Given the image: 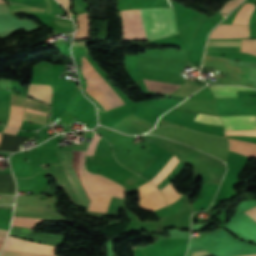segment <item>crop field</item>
I'll return each instance as SVG.
<instances>
[{"instance_id": "obj_1", "label": "crop field", "mask_w": 256, "mask_h": 256, "mask_svg": "<svg viewBox=\"0 0 256 256\" xmlns=\"http://www.w3.org/2000/svg\"><path fill=\"white\" fill-rule=\"evenodd\" d=\"M79 203L88 210L106 212L110 195H92L83 175L86 150L54 148Z\"/></svg>"}, {"instance_id": "obj_2", "label": "crop field", "mask_w": 256, "mask_h": 256, "mask_svg": "<svg viewBox=\"0 0 256 256\" xmlns=\"http://www.w3.org/2000/svg\"><path fill=\"white\" fill-rule=\"evenodd\" d=\"M146 39L168 36L164 8L139 10ZM138 10L122 11L124 38L145 39Z\"/></svg>"}, {"instance_id": "obj_3", "label": "crop field", "mask_w": 256, "mask_h": 256, "mask_svg": "<svg viewBox=\"0 0 256 256\" xmlns=\"http://www.w3.org/2000/svg\"><path fill=\"white\" fill-rule=\"evenodd\" d=\"M82 74L86 79V90L106 109L118 107L123 101L110 86L97 74L90 63L83 57Z\"/></svg>"}, {"instance_id": "obj_4", "label": "crop field", "mask_w": 256, "mask_h": 256, "mask_svg": "<svg viewBox=\"0 0 256 256\" xmlns=\"http://www.w3.org/2000/svg\"><path fill=\"white\" fill-rule=\"evenodd\" d=\"M85 178L92 191L95 193H106L117 196L119 198L124 197V188L120 184L100 175L90 174L85 168Z\"/></svg>"}, {"instance_id": "obj_5", "label": "crop field", "mask_w": 256, "mask_h": 256, "mask_svg": "<svg viewBox=\"0 0 256 256\" xmlns=\"http://www.w3.org/2000/svg\"><path fill=\"white\" fill-rule=\"evenodd\" d=\"M246 44L245 52L256 55V40H243ZM245 45H243L244 52ZM242 40L238 41H208L207 51H241Z\"/></svg>"}, {"instance_id": "obj_6", "label": "crop field", "mask_w": 256, "mask_h": 256, "mask_svg": "<svg viewBox=\"0 0 256 256\" xmlns=\"http://www.w3.org/2000/svg\"><path fill=\"white\" fill-rule=\"evenodd\" d=\"M25 108L30 109V110H35V111L46 112V113H48V111H49V106H47L43 103L34 101L29 98H27V100H26ZM26 109H24V111H26V112H30V113H34V114H38V115H42V116H46V117L48 115L46 113L35 112V111L26 110ZM23 120L44 125L46 118L24 112Z\"/></svg>"}, {"instance_id": "obj_7", "label": "crop field", "mask_w": 256, "mask_h": 256, "mask_svg": "<svg viewBox=\"0 0 256 256\" xmlns=\"http://www.w3.org/2000/svg\"><path fill=\"white\" fill-rule=\"evenodd\" d=\"M225 130L256 129V116L220 117Z\"/></svg>"}, {"instance_id": "obj_8", "label": "crop field", "mask_w": 256, "mask_h": 256, "mask_svg": "<svg viewBox=\"0 0 256 256\" xmlns=\"http://www.w3.org/2000/svg\"><path fill=\"white\" fill-rule=\"evenodd\" d=\"M212 33H248V26L219 25ZM248 34H211L210 38H244Z\"/></svg>"}, {"instance_id": "obj_9", "label": "crop field", "mask_w": 256, "mask_h": 256, "mask_svg": "<svg viewBox=\"0 0 256 256\" xmlns=\"http://www.w3.org/2000/svg\"><path fill=\"white\" fill-rule=\"evenodd\" d=\"M28 96L50 104L52 99L50 85L31 84Z\"/></svg>"}, {"instance_id": "obj_10", "label": "crop field", "mask_w": 256, "mask_h": 256, "mask_svg": "<svg viewBox=\"0 0 256 256\" xmlns=\"http://www.w3.org/2000/svg\"><path fill=\"white\" fill-rule=\"evenodd\" d=\"M230 143V150L239 152L243 155L250 156L256 158V144L238 141V140H231L228 139Z\"/></svg>"}, {"instance_id": "obj_11", "label": "crop field", "mask_w": 256, "mask_h": 256, "mask_svg": "<svg viewBox=\"0 0 256 256\" xmlns=\"http://www.w3.org/2000/svg\"><path fill=\"white\" fill-rule=\"evenodd\" d=\"M0 193L15 194V183L10 169H0Z\"/></svg>"}, {"instance_id": "obj_12", "label": "crop field", "mask_w": 256, "mask_h": 256, "mask_svg": "<svg viewBox=\"0 0 256 256\" xmlns=\"http://www.w3.org/2000/svg\"><path fill=\"white\" fill-rule=\"evenodd\" d=\"M11 164L15 177H31L29 165L24 158L14 156L11 158Z\"/></svg>"}, {"instance_id": "obj_13", "label": "crop field", "mask_w": 256, "mask_h": 256, "mask_svg": "<svg viewBox=\"0 0 256 256\" xmlns=\"http://www.w3.org/2000/svg\"><path fill=\"white\" fill-rule=\"evenodd\" d=\"M210 89L213 91L215 98L237 97L236 90H252L244 87H232V86H210Z\"/></svg>"}, {"instance_id": "obj_14", "label": "crop field", "mask_w": 256, "mask_h": 256, "mask_svg": "<svg viewBox=\"0 0 256 256\" xmlns=\"http://www.w3.org/2000/svg\"><path fill=\"white\" fill-rule=\"evenodd\" d=\"M78 22L80 28L78 31L75 33V39H87L89 37V29H90V24H89V19H88V13L86 14H80L78 15Z\"/></svg>"}, {"instance_id": "obj_15", "label": "crop field", "mask_w": 256, "mask_h": 256, "mask_svg": "<svg viewBox=\"0 0 256 256\" xmlns=\"http://www.w3.org/2000/svg\"><path fill=\"white\" fill-rule=\"evenodd\" d=\"M178 162V159L173 155L172 158L166 163V165L160 170V172L150 181L157 186Z\"/></svg>"}, {"instance_id": "obj_16", "label": "crop field", "mask_w": 256, "mask_h": 256, "mask_svg": "<svg viewBox=\"0 0 256 256\" xmlns=\"http://www.w3.org/2000/svg\"><path fill=\"white\" fill-rule=\"evenodd\" d=\"M246 5V4H245ZM244 5V6H245ZM243 6V7H244ZM242 7V8H243ZM242 8L240 10H242ZM254 5L247 4L242 11H239L232 24L248 25V18L252 12ZM255 9V8H254Z\"/></svg>"}, {"instance_id": "obj_17", "label": "crop field", "mask_w": 256, "mask_h": 256, "mask_svg": "<svg viewBox=\"0 0 256 256\" xmlns=\"http://www.w3.org/2000/svg\"><path fill=\"white\" fill-rule=\"evenodd\" d=\"M47 221L40 218L14 217L12 225L33 228L36 222Z\"/></svg>"}, {"instance_id": "obj_18", "label": "crop field", "mask_w": 256, "mask_h": 256, "mask_svg": "<svg viewBox=\"0 0 256 256\" xmlns=\"http://www.w3.org/2000/svg\"><path fill=\"white\" fill-rule=\"evenodd\" d=\"M193 120L194 121H199V122L210 123V124L222 125L218 117L205 115V114L196 113Z\"/></svg>"}, {"instance_id": "obj_19", "label": "crop field", "mask_w": 256, "mask_h": 256, "mask_svg": "<svg viewBox=\"0 0 256 256\" xmlns=\"http://www.w3.org/2000/svg\"><path fill=\"white\" fill-rule=\"evenodd\" d=\"M154 190H157V188H155L152 184H150L149 182L140 186L139 187V196L138 198L154 191Z\"/></svg>"}, {"instance_id": "obj_20", "label": "crop field", "mask_w": 256, "mask_h": 256, "mask_svg": "<svg viewBox=\"0 0 256 256\" xmlns=\"http://www.w3.org/2000/svg\"><path fill=\"white\" fill-rule=\"evenodd\" d=\"M243 0H230L226 6L220 11V13L227 15L234 7H236Z\"/></svg>"}, {"instance_id": "obj_21", "label": "crop field", "mask_w": 256, "mask_h": 256, "mask_svg": "<svg viewBox=\"0 0 256 256\" xmlns=\"http://www.w3.org/2000/svg\"><path fill=\"white\" fill-rule=\"evenodd\" d=\"M225 135L256 136V130H241L225 132Z\"/></svg>"}, {"instance_id": "obj_22", "label": "crop field", "mask_w": 256, "mask_h": 256, "mask_svg": "<svg viewBox=\"0 0 256 256\" xmlns=\"http://www.w3.org/2000/svg\"><path fill=\"white\" fill-rule=\"evenodd\" d=\"M1 256H47V255L21 253V252H11V251H5L4 250Z\"/></svg>"}, {"instance_id": "obj_23", "label": "crop field", "mask_w": 256, "mask_h": 256, "mask_svg": "<svg viewBox=\"0 0 256 256\" xmlns=\"http://www.w3.org/2000/svg\"><path fill=\"white\" fill-rule=\"evenodd\" d=\"M207 18L208 17L198 13L195 16H193L192 18H190L189 20H187L186 22H184L183 24H181L180 26H178V28L183 26V25H185V24H187V23H189V22H191V21H193V20H196V21H199V22L203 23L202 21L207 19Z\"/></svg>"}, {"instance_id": "obj_24", "label": "crop field", "mask_w": 256, "mask_h": 256, "mask_svg": "<svg viewBox=\"0 0 256 256\" xmlns=\"http://www.w3.org/2000/svg\"><path fill=\"white\" fill-rule=\"evenodd\" d=\"M96 135V134H95ZM98 136V135H97ZM94 136V138H93V140H92V143H91V145H90V147H89V149H88V151H87V153H86V155H90V154H93L94 155V149H95V147H96V145H97V143H98V141H99V139L100 138H98V137H100V136Z\"/></svg>"}, {"instance_id": "obj_25", "label": "crop field", "mask_w": 256, "mask_h": 256, "mask_svg": "<svg viewBox=\"0 0 256 256\" xmlns=\"http://www.w3.org/2000/svg\"><path fill=\"white\" fill-rule=\"evenodd\" d=\"M58 2L67 10L70 16H73V14L70 12V8H71L70 0H58Z\"/></svg>"}, {"instance_id": "obj_26", "label": "crop field", "mask_w": 256, "mask_h": 256, "mask_svg": "<svg viewBox=\"0 0 256 256\" xmlns=\"http://www.w3.org/2000/svg\"><path fill=\"white\" fill-rule=\"evenodd\" d=\"M191 256H215L206 250L192 252Z\"/></svg>"}, {"instance_id": "obj_27", "label": "crop field", "mask_w": 256, "mask_h": 256, "mask_svg": "<svg viewBox=\"0 0 256 256\" xmlns=\"http://www.w3.org/2000/svg\"><path fill=\"white\" fill-rule=\"evenodd\" d=\"M7 233H8V231H6V230H0V241H3V242L5 241V239L7 237ZM3 242H0V250L4 244Z\"/></svg>"}, {"instance_id": "obj_28", "label": "crop field", "mask_w": 256, "mask_h": 256, "mask_svg": "<svg viewBox=\"0 0 256 256\" xmlns=\"http://www.w3.org/2000/svg\"><path fill=\"white\" fill-rule=\"evenodd\" d=\"M245 213L248 214L251 218H253L256 221V207Z\"/></svg>"}, {"instance_id": "obj_29", "label": "crop field", "mask_w": 256, "mask_h": 256, "mask_svg": "<svg viewBox=\"0 0 256 256\" xmlns=\"http://www.w3.org/2000/svg\"><path fill=\"white\" fill-rule=\"evenodd\" d=\"M4 133H9V134H13V135H16L17 131L16 130H13V129H10V128H7L5 127V129L3 130Z\"/></svg>"}, {"instance_id": "obj_30", "label": "crop field", "mask_w": 256, "mask_h": 256, "mask_svg": "<svg viewBox=\"0 0 256 256\" xmlns=\"http://www.w3.org/2000/svg\"><path fill=\"white\" fill-rule=\"evenodd\" d=\"M9 109V101L0 103V110Z\"/></svg>"}, {"instance_id": "obj_31", "label": "crop field", "mask_w": 256, "mask_h": 256, "mask_svg": "<svg viewBox=\"0 0 256 256\" xmlns=\"http://www.w3.org/2000/svg\"><path fill=\"white\" fill-rule=\"evenodd\" d=\"M3 1L2 0H0V3H2Z\"/></svg>"}, {"instance_id": "obj_32", "label": "crop field", "mask_w": 256, "mask_h": 256, "mask_svg": "<svg viewBox=\"0 0 256 256\" xmlns=\"http://www.w3.org/2000/svg\"><path fill=\"white\" fill-rule=\"evenodd\" d=\"M0 137H1V133H0Z\"/></svg>"}, {"instance_id": "obj_33", "label": "crop field", "mask_w": 256, "mask_h": 256, "mask_svg": "<svg viewBox=\"0 0 256 256\" xmlns=\"http://www.w3.org/2000/svg\"><path fill=\"white\" fill-rule=\"evenodd\" d=\"M254 256H256V255H254Z\"/></svg>"}]
</instances>
